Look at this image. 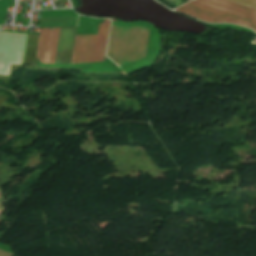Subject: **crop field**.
Masks as SVG:
<instances>
[{
  "label": "crop field",
  "mask_w": 256,
  "mask_h": 256,
  "mask_svg": "<svg viewBox=\"0 0 256 256\" xmlns=\"http://www.w3.org/2000/svg\"><path fill=\"white\" fill-rule=\"evenodd\" d=\"M2 194H1V192H0V196H1Z\"/></svg>",
  "instance_id": "obj_10"
},
{
  "label": "crop field",
  "mask_w": 256,
  "mask_h": 256,
  "mask_svg": "<svg viewBox=\"0 0 256 256\" xmlns=\"http://www.w3.org/2000/svg\"><path fill=\"white\" fill-rule=\"evenodd\" d=\"M175 10L183 12L199 20H204V21L213 22V23H235L248 28H252L254 31H256L255 24H252L243 20H239L236 18L228 17L225 15H221V14L211 12L205 9H201L195 6H191L188 4H185Z\"/></svg>",
  "instance_id": "obj_4"
},
{
  "label": "crop field",
  "mask_w": 256,
  "mask_h": 256,
  "mask_svg": "<svg viewBox=\"0 0 256 256\" xmlns=\"http://www.w3.org/2000/svg\"><path fill=\"white\" fill-rule=\"evenodd\" d=\"M109 25L110 20L104 19L98 35H76L72 64L103 61Z\"/></svg>",
  "instance_id": "obj_2"
},
{
  "label": "crop field",
  "mask_w": 256,
  "mask_h": 256,
  "mask_svg": "<svg viewBox=\"0 0 256 256\" xmlns=\"http://www.w3.org/2000/svg\"><path fill=\"white\" fill-rule=\"evenodd\" d=\"M149 29L112 24L107 56L119 66L145 57Z\"/></svg>",
  "instance_id": "obj_1"
},
{
  "label": "crop field",
  "mask_w": 256,
  "mask_h": 256,
  "mask_svg": "<svg viewBox=\"0 0 256 256\" xmlns=\"http://www.w3.org/2000/svg\"><path fill=\"white\" fill-rule=\"evenodd\" d=\"M188 4H192V5L202 7V8L208 9V10H212V11H215V12H218V13H222V14H225V15L233 16V17H236V18H239V19H243V20H246V21L256 23V20L249 19V18L240 16V15L232 13V12H228V11H225V10H221V9L214 8V7H211V6H207V5H204V4H200V3H197V2L191 1Z\"/></svg>",
  "instance_id": "obj_7"
},
{
  "label": "crop field",
  "mask_w": 256,
  "mask_h": 256,
  "mask_svg": "<svg viewBox=\"0 0 256 256\" xmlns=\"http://www.w3.org/2000/svg\"><path fill=\"white\" fill-rule=\"evenodd\" d=\"M26 36L0 32V75L8 76L10 64H22Z\"/></svg>",
  "instance_id": "obj_3"
},
{
  "label": "crop field",
  "mask_w": 256,
  "mask_h": 256,
  "mask_svg": "<svg viewBox=\"0 0 256 256\" xmlns=\"http://www.w3.org/2000/svg\"><path fill=\"white\" fill-rule=\"evenodd\" d=\"M231 1L256 8V0H231Z\"/></svg>",
  "instance_id": "obj_8"
},
{
  "label": "crop field",
  "mask_w": 256,
  "mask_h": 256,
  "mask_svg": "<svg viewBox=\"0 0 256 256\" xmlns=\"http://www.w3.org/2000/svg\"><path fill=\"white\" fill-rule=\"evenodd\" d=\"M1 204V203H0Z\"/></svg>",
  "instance_id": "obj_11"
},
{
  "label": "crop field",
  "mask_w": 256,
  "mask_h": 256,
  "mask_svg": "<svg viewBox=\"0 0 256 256\" xmlns=\"http://www.w3.org/2000/svg\"><path fill=\"white\" fill-rule=\"evenodd\" d=\"M59 28L41 29L37 56L41 63L53 64Z\"/></svg>",
  "instance_id": "obj_5"
},
{
  "label": "crop field",
  "mask_w": 256,
  "mask_h": 256,
  "mask_svg": "<svg viewBox=\"0 0 256 256\" xmlns=\"http://www.w3.org/2000/svg\"><path fill=\"white\" fill-rule=\"evenodd\" d=\"M193 1H197L200 3H204L207 5H211V6L225 9L228 11H232V12L241 14L243 16L256 19V9L243 6L237 3H233L227 0H193Z\"/></svg>",
  "instance_id": "obj_6"
},
{
  "label": "crop field",
  "mask_w": 256,
  "mask_h": 256,
  "mask_svg": "<svg viewBox=\"0 0 256 256\" xmlns=\"http://www.w3.org/2000/svg\"><path fill=\"white\" fill-rule=\"evenodd\" d=\"M3 210V207L2 206H0V212Z\"/></svg>",
  "instance_id": "obj_9"
}]
</instances>
